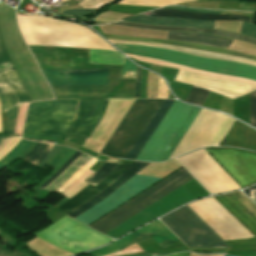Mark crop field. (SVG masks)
<instances>
[{
    "mask_svg": "<svg viewBox=\"0 0 256 256\" xmlns=\"http://www.w3.org/2000/svg\"><path fill=\"white\" fill-rule=\"evenodd\" d=\"M199 111L200 108L175 101L136 159L153 162L168 159Z\"/></svg>",
    "mask_w": 256,
    "mask_h": 256,
    "instance_id": "8a807250",
    "label": "crop field"
},
{
    "mask_svg": "<svg viewBox=\"0 0 256 256\" xmlns=\"http://www.w3.org/2000/svg\"><path fill=\"white\" fill-rule=\"evenodd\" d=\"M78 100H49L30 103L24 124L25 134L66 136L74 118ZM43 130V133H40Z\"/></svg>",
    "mask_w": 256,
    "mask_h": 256,
    "instance_id": "ac0d7876",
    "label": "crop field"
},
{
    "mask_svg": "<svg viewBox=\"0 0 256 256\" xmlns=\"http://www.w3.org/2000/svg\"><path fill=\"white\" fill-rule=\"evenodd\" d=\"M114 45L125 53L155 58L218 74L238 76L256 81V67L254 66L229 61L202 58L161 48L146 47L140 45Z\"/></svg>",
    "mask_w": 256,
    "mask_h": 256,
    "instance_id": "34b2d1b8",
    "label": "crop field"
},
{
    "mask_svg": "<svg viewBox=\"0 0 256 256\" xmlns=\"http://www.w3.org/2000/svg\"><path fill=\"white\" fill-rule=\"evenodd\" d=\"M162 102L163 100L136 99L101 153L125 158Z\"/></svg>",
    "mask_w": 256,
    "mask_h": 256,
    "instance_id": "412701ff",
    "label": "crop field"
},
{
    "mask_svg": "<svg viewBox=\"0 0 256 256\" xmlns=\"http://www.w3.org/2000/svg\"><path fill=\"white\" fill-rule=\"evenodd\" d=\"M41 70L50 86L51 84H107L108 90L109 69ZM53 87L58 96H105L106 90V85H53ZM53 93L56 96L54 90Z\"/></svg>",
    "mask_w": 256,
    "mask_h": 256,
    "instance_id": "f4fd0767",
    "label": "crop field"
},
{
    "mask_svg": "<svg viewBox=\"0 0 256 256\" xmlns=\"http://www.w3.org/2000/svg\"><path fill=\"white\" fill-rule=\"evenodd\" d=\"M191 178L193 177L183 167L90 227L105 234Z\"/></svg>",
    "mask_w": 256,
    "mask_h": 256,
    "instance_id": "dd49c442",
    "label": "crop field"
},
{
    "mask_svg": "<svg viewBox=\"0 0 256 256\" xmlns=\"http://www.w3.org/2000/svg\"><path fill=\"white\" fill-rule=\"evenodd\" d=\"M35 236L72 254L112 241L66 216Z\"/></svg>",
    "mask_w": 256,
    "mask_h": 256,
    "instance_id": "e52e79f7",
    "label": "crop field"
},
{
    "mask_svg": "<svg viewBox=\"0 0 256 256\" xmlns=\"http://www.w3.org/2000/svg\"><path fill=\"white\" fill-rule=\"evenodd\" d=\"M161 220L188 247H229L187 205L161 218Z\"/></svg>",
    "mask_w": 256,
    "mask_h": 256,
    "instance_id": "d8731c3e",
    "label": "crop field"
},
{
    "mask_svg": "<svg viewBox=\"0 0 256 256\" xmlns=\"http://www.w3.org/2000/svg\"><path fill=\"white\" fill-rule=\"evenodd\" d=\"M0 100L2 112L7 110V133H14L18 106L31 101L19 78L0 36Z\"/></svg>",
    "mask_w": 256,
    "mask_h": 256,
    "instance_id": "5a996713",
    "label": "crop field"
},
{
    "mask_svg": "<svg viewBox=\"0 0 256 256\" xmlns=\"http://www.w3.org/2000/svg\"><path fill=\"white\" fill-rule=\"evenodd\" d=\"M206 150L243 188L256 183V154L236 149Z\"/></svg>",
    "mask_w": 256,
    "mask_h": 256,
    "instance_id": "3316defc",
    "label": "crop field"
},
{
    "mask_svg": "<svg viewBox=\"0 0 256 256\" xmlns=\"http://www.w3.org/2000/svg\"><path fill=\"white\" fill-rule=\"evenodd\" d=\"M159 180V178L135 175L104 200L75 219L88 225Z\"/></svg>",
    "mask_w": 256,
    "mask_h": 256,
    "instance_id": "28ad6ade",
    "label": "crop field"
},
{
    "mask_svg": "<svg viewBox=\"0 0 256 256\" xmlns=\"http://www.w3.org/2000/svg\"><path fill=\"white\" fill-rule=\"evenodd\" d=\"M150 237H152L162 248L179 240L171 231L157 220L110 245L86 254L102 256Z\"/></svg>",
    "mask_w": 256,
    "mask_h": 256,
    "instance_id": "d1516ede",
    "label": "crop field"
},
{
    "mask_svg": "<svg viewBox=\"0 0 256 256\" xmlns=\"http://www.w3.org/2000/svg\"><path fill=\"white\" fill-rule=\"evenodd\" d=\"M175 80L200 86L232 99L241 97L248 92L256 90V86L213 79L198 74L184 72L181 70H179Z\"/></svg>",
    "mask_w": 256,
    "mask_h": 256,
    "instance_id": "22f410ed",
    "label": "crop field"
},
{
    "mask_svg": "<svg viewBox=\"0 0 256 256\" xmlns=\"http://www.w3.org/2000/svg\"><path fill=\"white\" fill-rule=\"evenodd\" d=\"M106 99H80L78 111L67 135L87 138L104 111Z\"/></svg>",
    "mask_w": 256,
    "mask_h": 256,
    "instance_id": "cbeb9de0",
    "label": "crop field"
},
{
    "mask_svg": "<svg viewBox=\"0 0 256 256\" xmlns=\"http://www.w3.org/2000/svg\"><path fill=\"white\" fill-rule=\"evenodd\" d=\"M215 198L256 236V206L242 192L216 196Z\"/></svg>",
    "mask_w": 256,
    "mask_h": 256,
    "instance_id": "5142ce71",
    "label": "crop field"
},
{
    "mask_svg": "<svg viewBox=\"0 0 256 256\" xmlns=\"http://www.w3.org/2000/svg\"><path fill=\"white\" fill-rule=\"evenodd\" d=\"M130 166V163H119L118 166L100 183L95 187L92 185L86 186L79 193L73 196L71 199L62 204L59 209H61L66 214L76 209L104 189H106L112 182H114L122 173H124L127 168Z\"/></svg>",
    "mask_w": 256,
    "mask_h": 256,
    "instance_id": "d9b57169",
    "label": "crop field"
},
{
    "mask_svg": "<svg viewBox=\"0 0 256 256\" xmlns=\"http://www.w3.org/2000/svg\"><path fill=\"white\" fill-rule=\"evenodd\" d=\"M127 21L151 24V25H165V26H180V27H195V28H214V21H197L182 18H170V17H149V16H137Z\"/></svg>",
    "mask_w": 256,
    "mask_h": 256,
    "instance_id": "733c2abd",
    "label": "crop field"
},
{
    "mask_svg": "<svg viewBox=\"0 0 256 256\" xmlns=\"http://www.w3.org/2000/svg\"><path fill=\"white\" fill-rule=\"evenodd\" d=\"M149 163H142V162H136L133 161L131 166L128 168V170L121 175L113 184H111L106 190L77 208L76 210L72 211L68 215L71 217H76L80 213L84 212L94 204L98 203L102 199H104L106 196H108L110 193H112L115 189H117L120 185H122L124 182H126L129 178H131L133 175H135L138 171H140L143 167H145Z\"/></svg>",
    "mask_w": 256,
    "mask_h": 256,
    "instance_id": "4a817a6b",
    "label": "crop field"
},
{
    "mask_svg": "<svg viewBox=\"0 0 256 256\" xmlns=\"http://www.w3.org/2000/svg\"><path fill=\"white\" fill-rule=\"evenodd\" d=\"M142 15L171 16V17H182V18L198 19V20H240V21H246V22L254 23V18L246 17V16L210 15V14H200V13L168 10V9H162V8L144 13Z\"/></svg>",
    "mask_w": 256,
    "mask_h": 256,
    "instance_id": "bc2a9ffb",
    "label": "crop field"
},
{
    "mask_svg": "<svg viewBox=\"0 0 256 256\" xmlns=\"http://www.w3.org/2000/svg\"><path fill=\"white\" fill-rule=\"evenodd\" d=\"M167 40H176L193 44L216 46L224 49H227L229 44L232 42V39L219 36L178 32H168Z\"/></svg>",
    "mask_w": 256,
    "mask_h": 256,
    "instance_id": "214f88e0",
    "label": "crop field"
},
{
    "mask_svg": "<svg viewBox=\"0 0 256 256\" xmlns=\"http://www.w3.org/2000/svg\"><path fill=\"white\" fill-rule=\"evenodd\" d=\"M174 103V100H164L156 114L153 116L137 142L134 144L126 158L135 159L137 154L140 152L144 144L147 142L153 131L156 129L162 118L165 116L169 108Z\"/></svg>",
    "mask_w": 256,
    "mask_h": 256,
    "instance_id": "92a150f3",
    "label": "crop field"
},
{
    "mask_svg": "<svg viewBox=\"0 0 256 256\" xmlns=\"http://www.w3.org/2000/svg\"><path fill=\"white\" fill-rule=\"evenodd\" d=\"M108 40L112 43L140 44V45H146V46L168 48V49H173V50H177V51H181V52H185V53H189V54H193V55H197V56L242 62V63H246V64L256 66V61L243 59V58L232 57V56H228V55H222V54H216V53H210V52H204V51H198V50H192V49H186V48H180V47H174V46H168V45H162V44H154V43H146V42H134V41H122V40H111V39H108Z\"/></svg>",
    "mask_w": 256,
    "mask_h": 256,
    "instance_id": "dafd665d",
    "label": "crop field"
},
{
    "mask_svg": "<svg viewBox=\"0 0 256 256\" xmlns=\"http://www.w3.org/2000/svg\"><path fill=\"white\" fill-rule=\"evenodd\" d=\"M105 36L107 38H113V39L146 41V42H154V43L175 45V46H181V47L193 48V49H198V50L228 54V55H232V56H237V57H243V58L256 60V57H254V56L246 55V54L239 53V52L228 51V50H224V49H220V48H216V47L193 45V44L181 43V42H176V41H163V40H155V39L131 38V37L114 36V35H105Z\"/></svg>",
    "mask_w": 256,
    "mask_h": 256,
    "instance_id": "00972430",
    "label": "crop field"
},
{
    "mask_svg": "<svg viewBox=\"0 0 256 256\" xmlns=\"http://www.w3.org/2000/svg\"><path fill=\"white\" fill-rule=\"evenodd\" d=\"M114 24H120V25H126V26H132V27H140V28H150V29H159V30H169V31H195V32H204V33H210L214 35L224 36L248 43H252L256 45V40L245 37L242 35L230 33V32H224V31H217V30H208V29H194V28H180V27H164V26H151V25H139V24H131L127 22H119Z\"/></svg>",
    "mask_w": 256,
    "mask_h": 256,
    "instance_id": "a9b5d70f",
    "label": "crop field"
},
{
    "mask_svg": "<svg viewBox=\"0 0 256 256\" xmlns=\"http://www.w3.org/2000/svg\"><path fill=\"white\" fill-rule=\"evenodd\" d=\"M91 157L82 154L72 162L44 191L56 192L72 175H74Z\"/></svg>",
    "mask_w": 256,
    "mask_h": 256,
    "instance_id": "4177f3b9",
    "label": "crop field"
},
{
    "mask_svg": "<svg viewBox=\"0 0 256 256\" xmlns=\"http://www.w3.org/2000/svg\"><path fill=\"white\" fill-rule=\"evenodd\" d=\"M90 63H104V64H118L122 65L123 57L121 54L104 51V50H93L89 49Z\"/></svg>",
    "mask_w": 256,
    "mask_h": 256,
    "instance_id": "730fd06b",
    "label": "crop field"
},
{
    "mask_svg": "<svg viewBox=\"0 0 256 256\" xmlns=\"http://www.w3.org/2000/svg\"><path fill=\"white\" fill-rule=\"evenodd\" d=\"M53 146V144L38 142L32 151L24 158V160L38 166L39 163L50 152Z\"/></svg>",
    "mask_w": 256,
    "mask_h": 256,
    "instance_id": "eef30255",
    "label": "crop field"
},
{
    "mask_svg": "<svg viewBox=\"0 0 256 256\" xmlns=\"http://www.w3.org/2000/svg\"><path fill=\"white\" fill-rule=\"evenodd\" d=\"M191 1V0H121L119 4H127V5H143V6H157L163 7L170 4Z\"/></svg>",
    "mask_w": 256,
    "mask_h": 256,
    "instance_id": "ae1a2a85",
    "label": "crop field"
},
{
    "mask_svg": "<svg viewBox=\"0 0 256 256\" xmlns=\"http://www.w3.org/2000/svg\"><path fill=\"white\" fill-rule=\"evenodd\" d=\"M31 141L22 139L16 147L2 160H0V170L17 159L20 154L31 144Z\"/></svg>",
    "mask_w": 256,
    "mask_h": 256,
    "instance_id": "d3111659",
    "label": "crop field"
},
{
    "mask_svg": "<svg viewBox=\"0 0 256 256\" xmlns=\"http://www.w3.org/2000/svg\"><path fill=\"white\" fill-rule=\"evenodd\" d=\"M118 163L112 162H104L102 166L88 179L85 181L89 182L92 185H96L100 182L105 176H107L116 166Z\"/></svg>",
    "mask_w": 256,
    "mask_h": 256,
    "instance_id": "750c4746",
    "label": "crop field"
},
{
    "mask_svg": "<svg viewBox=\"0 0 256 256\" xmlns=\"http://www.w3.org/2000/svg\"><path fill=\"white\" fill-rule=\"evenodd\" d=\"M208 94H209V91L193 86L190 94L186 99V102L202 106Z\"/></svg>",
    "mask_w": 256,
    "mask_h": 256,
    "instance_id": "bd1437ed",
    "label": "crop field"
},
{
    "mask_svg": "<svg viewBox=\"0 0 256 256\" xmlns=\"http://www.w3.org/2000/svg\"><path fill=\"white\" fill-rule=\"evenodd\" d=\"M97 160L91 159L86 163L74 176H72L60 189L59 191L63 192L67 189L73 182H75L82 174H84Z\"/></svg>",
    "mask_w": 256,
    "mask_h": 256,
    "instance_id": "1d83c4d3",
    "label": "crop field"
},
{
    "mask_svg": "<svg viewBox=\"0 0 256 256\" xmlns=\"http://www.w3.org/2000/svg\"><path fill=\"white\" fill-rule=\"evenodd\" d=\"M20 140L21 138L19 137L7 138L5 142L0 146V149H1L8 141V143L0 150V159L5 155H7Z\"/></svg>",
    "mask_w": 256,
    "mask_h": 256,
    "instance_id": "120bbe31",
    "label": "crop field"
},
{
    "mask_svg": "<svg viewBox=\"0 0 256 256\" xmlns=\"http://www.w3.org/2000/svg\"><path fill=\"white\" fill-rule=\"evenodd\" d=\"M111 1L113 0H84L79 5H81L82 8H101Z\"/></svg>",
    "mask_w": 256,
    "mask_h": 256,
    "instance_id": "d32e631a",
    "label": "crop field"
},
{
    "mask_svg": "<svg viewBox=\"0 0 256 256\" xmlns=\"http://www.w3.org/2000/svg\"><path fill=\"white\" fill-rule=\"evenodd\" d=\"M136 65L128 60H125V64L122 71V77L135 78Z\"/></svg>",
    "mask_w": 256,
    "mask_h": 256,
    "instance_id": "5866460e",
    "label": "crop field"
},
{
    "mask_svg": "<svg viewBox=\"0 0 256 256\" xmlns=\"http://www.w3.org/2000/svg\"><path fill=\"white\" fill-rule=\"evenodd\" d=\"M82 153L80 152H76L56 173L55 175L48 180L45 184H43L40 188H38L39 190H42L43 188H45L49 183H51L72 161H74L78 156H80Z\"/></svg>",
    "mask_w": 256,
    "mask_h": 256,
    "instance_id": "028f5c9d",
    "label": "crop field"
},
{
    "mask_svg": "<svg viewBox=\"0 0 256 256\" xmlns=\"http://www.w3.org/2000/svg\"><path fill=\"white\" fill-rule=\"evenodd\" d=\"M251 125L256 127V91L250 93Z\"/></svg>",
    "mask_w": 256,
    "mask_h": 256,
    "instance_id": "e1f06a70",
    "label": "crop field"
},
{
    "mask_svg": "<svg viewBox=\"0 0 256 256\" xmlns=\"http://www.w3.org/2000/svg\"><path fill=\"white\" fill-rule=\"evenodd\" d=\"M242 34H246L256 38V25L243 22Z\"/></svg>",
    "mask_w": 256,
    "mask_h": 256,
    "instance_id": "0bd39190",
    "label": "crop field"
},
{
    "mask_svg": "<svg viewBox=\"0 0 256 256\" xmlns=\"http://www.w3.org/2000/svg\"><path fill=\"white\" fill-rule=\"evenodd\" d=\"M97 9H70L67 10L61 14H66V15H86L90 12H93Z\"/></svg>",
    "mask_w": 256,
    "mask_h": 256,
    "instance_id": "b80d0937",
    "label": "crop field"
},
{
    "mask_svg": "<svg viewBox=\"0 0 256 256\" xmlns=\"http://www.w3.org/2000/svg\"><path fill=\"white\" fill-rule=\"evenodd\" d=\"M164 8L192 11V12L214 13V14H221V13L225 12V11H219V10H198V9H189V8H179V7H174V6L164 7Z\"/></svg>",
    "mask_w": 256,
    "mask_h": 256,
    "instance_id": "c035e120",
    "label": "crop field"
},
{
    "mask_svg": "<svg viewBox=\"0 0 256 256\" xmlns=\"http://www.w3.org/2000/svg\"><path fill=\"white\" fill-rule=\"evenodd\" d=\"M140 73H141V68L137 67L135 98H139V94H140V86H141Z\"/></svg>",
    "mask_w": 256,
    "mask_h": 256,
    "instance_id": "c21b1889",
    "label": "crop field"
},
{
    "mask_svg": "<svg viewBox=\"0 0 256 256\" xmlns=\"http://www.w3.org/2000/svg\"><path fill=\"white\" fill-rule=\"evenodd\" d=\"M243 192L256 202V186H254L248 190H245Z\"/></svg>",
    "mask_w": 256,
    "mask_h": 256,
    "instance_id": "03da06ac",
    "label": "crop field"
},
{
    "mask_svg": "<svg viewBox=\"0 0 256 256\" xmlns=\"http://www.w3.org/2000/svg\"><path fill=\"white\" fill-rule=\"evenodd\" d=\"M189 252H185V253H179V254H172V255H168V256H189Z\"/></svg>",
    "mask_w": 256,
    "mask_h": 256,
    "instance_id": "b54c1fbb",
    "label": "crop field"
},
{
    "mask_svg": "<svg viewBox=\"0 0 256 256\" xmlns=\"http://www.w3.org/2000/svg\"><path fill=\"white\" fill-rule=\"evenodd\" d=\"M190 256H223V255H218V254H210V255H197V254H193L191 253Z\"/></svg>",
    "mask_w": 256,
    "mask_h": 256,
    "instance_id": "5d738f31",
    "label": "crop field"
},
{
    "mask_svg": "<svg viewBox=\"0 0 256 256\" xmlns=\"http://www.w3.org/2000/svg\"><path fill=\"white\" fill-rule=\"evenodd\" d=\"M4 140L5 138H0V145L3 143Z\"/></svg>",
    "mask_w": 256,
    "mask_h": 256,
    "instance_id": "d23c7cc5",
    "label": "crop field"
},
{
    "mask_svg": "<svg viewBox=\"0 0 256 256\" xmlns=\"http://www.w3.org/2000/svg\"><path fill=\"white\" fill-rule=\"evenodd\" d=\"M77 1H80V0H77Z\"/></svg>",
    "mask_w": 256,
    "mask_h": 256,
    "instance_id": "425ffa30",
    "label": "crop field"
}]
</instances>
